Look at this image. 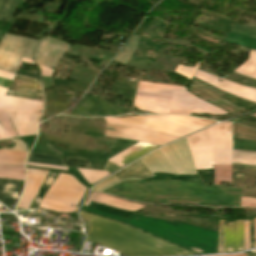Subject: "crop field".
I'll return each instance as SVG.
<instances>
[{
	"label": "crop field",
	"mask_w": 256,
	"mask_h": 256,
	"mask_svg": "<svg viewBox=\"0 0 256 256\" xmlns=\"http://www.w3.org/2000/svg\"><path fill=\"white\" fill-rule=\"evenodd\" d=\"M139 201L154 203H181L195 205H229L239 206L240 189L209 186L173 180L138 181L121 183L104 192Z\"/></svg>",
	"instance_id": "1"
},
{
	"label": "crop field",
	"mask_w": 256,
	"mask_h": 256,
	"mask_svg": "<svg viewBox=\"0 0 256 256\" xmlns=\"http://www.w3.org/2000/svg\"><path fill=\"white\" fill-rule=\"evenodd\" d=\"M80 216L90 223L88 241L128 256L192 255L179 247L121 223L96 217L82 211Z\"/></svg>",
	"instance_id": "2"
},
{
	"label": "crop field",
	"mask_w": 256,
	"mask_h": 256,
	"mask_svg": "<svg viewBox=\"0 0 256 256\" xmlns=\"http://www.w3.org/2000/svg\"><path fill=\"white\" fill-rule=\"evenodd\" d=\"M168 148L170 149L172 154L175 156L179 165L183 168L185 172L175 173L159 150H156L146 155L141 160L152 172H170L175 174H197L186 138L178 140L168 145Z\"/></svg>",
	"instance_id": "3"
},
{
	"label": "crop field",
	"mask_w": 256,
	"mask_h": 256,
	"mask_svg": "<svg viewBox=\"0 0 256 256\" xmlns=\"http://www.w3.org/2000/svg\"><path fill=\"white\" fill-rule=\"evenodd\" d=\"M173 86L139 81L134 105L144 111L167 114Z\"/></svg>",
	"instance_id": "4"
},
{
	"label": "crop field",
	"mask_w": 256,
	"mask_h": 256,
	"mask_svg": "<svg viewBox=\"0 0 256 256\" xmlns=\"http://www.w3.org/2000/svg\"><path fill=\"white\" fill-rule=\"evenodd\" d=\"M36 43L5 34L0 42V70L15 74L22 56L33 57Z\"/></svg>",
	"instance_id": "5"
},
{
	"label": "crop field",
	"mask_w": 256,
	"mask_h": 256,
	"mask_svg": "<svg viewBox=\"0 0 256 256\" xmlns=\"http://www.w3.org/2000/svg\"><path fill=\"white\" fill-rule=\"evenodd\" d=\"M190 113L225 114L227 112L186 92V88L174 86L169 114L190 115Z\"/></svg>",
	"instance_id": "6"
},
{
	"label": "crop field",
	"mask_w": 256,
	"mask_h": 256,
	"mask_svg": "<svg viewBox=\"0 0 256 256\" xmlns=\"http://www.w3.org/2000/svg\"><path fill=\"white\" fill-rule=\"evenodd\" d=\"M106 126L115 128L117 131V132H112V131L106 130V136H110V137L126 138V139H132V140L159 144V145H163L177 138V137L168 136V135H164L156 132L132 129V128H127L122 126H116V125H110V124H107Z\"/></svg>",
	"instance_id": "7"
},
{
	"label": "crop field",
	"mask_w": 256,
	"mask_h": 256,
	"mask_svg": "<svg viewBox=\"0 0 256 256\" xmlns=\"http://www.w3.org/2000/svg\"><path fill=\"white\" fill-rule=\"evenodd\" d=\"M67 46L68 43L47 36L39 44L35 54V62L54 69Z\"/></svg>",
	"instance_id": "8"
},
{
	"label": "crop field",
	"mask_w": 256,
	"mask_h": 256,
	"mask_svg": "<svg viewBox=\"0 0 256 256\" xmlns=\"http://www.w3.org/2000/svg\"><path fill=\"white\" fill-rule=\"evenodd\" d=\"M194 77L202 80L203 82H205L211 86L221 89L229 94L237 96L241 99L256 102V89H252V88L244 87V86H241L238 84H234V83L228 82L226 80L220 79L218 77L208 75L199 70H197ZM219 80H221V82H218Z\"/></svg>",
	"instance_id": "9"
},
{
	"label": "crop field",
	"mask_w": 256,
	"mask_h": 256,
	"mask_svg": "<svg viewBox=\"0 0 256 256\" xmlns=\"http://www.w3.org/2000/svg\"><path fill=\"white\" fill-rule=\"evenodd\" d=\"M189 91H191L193 94L200 97L201 99H203L211 104H214L232 114H234L240 110H243V109L221 99L225 94H223L211 87H208L194 79L192 81Z\"/></svg>",
	"instance_id": "10"
},
{
	"label": "crop field",
	"mask_w": 256,
	"mask_h": 256,
	"mask_svg": "<svg viewBox=\"0 0 256 256\" xmlns=\"http://www.w3.org/2000/svg\"><path fill=\"white\" fill-rule=\"evenodd\" d=\"M11 87H14V91L8 90L6 94L8 96L43 101L40 85L35 80L22 76H15V80Z\"/></svg>",
	"instance_id": "11"
},
{
	"label": "crop field",
	"mask_w": 256,
	"mask_h": 256,
	"mask_svg": "<svg viewBox=\"0 0 256 256\" xmlns=\"http://www.w3.org/2000/svg\"><path fill=\"white\" fill-rule=\"evenodd\" d=\"M244 250L243 220L225 226V253Z\"/></svg>",
	"instance_id": "12"
},
{
	"label": "crop field",
	"mask_w": 256,
	"mask_h": 256,
	"mask_svg": "<svg viewBox=\"0 0 256 256\" xmlns=\"http://www.w3.org/2000/svg\"><path fill=\"white\" fill-rule=\"evenodd\" d=\"M62 159L64 163L69 167L91 168L87 160L68 159V158H62ZM27 162L43 164V165L66 167L65 165H63V162L61 161L60 157L43 155V154L30 153L27 159Z\"/></svg>",
	"instance_id": "13"
},
{
	"label": "crop field",
	"mask_w": 256,
	"mask_h": 256,
	"mask_svg": "<svg viewBox=\"0 0 256 256\" xmlns=\"http://www.w3.org/2000/svg\"><path fill=\"white\" fill-rule=\"evenodd\" d=\"M115 174L121 182L141 180L154 176L140 160H137L135 163L123 168Z\"/></svg>",
	"instance_id": "14"
},
{
	"label": "crop field",
	"mask_w": 256,
	"mask_h": 256,
	"mask_svg": "<svg viewBox=\"0 0 256 256\" xmlns=\"http://www.w3.org/2000/svg\"><path fill=\"white\" fill-rule=\"evenodd\" d=\"M23 182L0 179V202L16 205Z\"/></svg>",
	"instance_id": "15"
},
{
	"label": "crop field",
	"mask_w": 256,
	"mask_h": 256,
	"mask_svg": "<svg viewBox=\"0 0 256 256\" xmlns=\"http://www.w3.org/2000/svg\"><path fill=\"white\" fill-rule=\"evenodd\" d=\"M0 109L41 111L42 102L0 96Z\"/></svg>",
	"instance_id": "16"
},
{
	"label": "crop field",
	"mask_w": 256,
	"mask_h": 256,
	"mask_svg": "<svg viewBox=\"0 0 256 256\" xmlns=\"http://www.w3.org/2000/svg\"><path fill=\"white\" fill-rule=\"evenodd\" d=\"M27 173L30 174H38V175H47L48 171H41V170H35V169H29L27 168ZM59 175L58 172H52L49 171L48 175L46 176L43 184L41 185V187L39 188L30 209H37L41 198L43 197L44 193L47 191V189L52 185V183L54 182V180L57 178V176Z\"/></svg>",
	"instance_id": "17"
},
{
	"label": "crop field",
	"mask_w": 256,
	"mask_h": 256,
	"mask_svg": "<svg viewBox=\"0 0 256 256\" xmlns=\"http://www.w3.org/2000/svg\"><path fill=\"white\" fill-rule=\"evenodd\" d=\"M28 153L1 151L0 164L2 165H24Z\"/></svg>",
	"instance_id": "18"
},
{
	"label": "crop field",
	"mask_w": 256,
	"mask_h": 256,
	"mask_svg": "<svg viewBox=\"0 0 256 256\" xmlns=\"http://www.w3.org/2000/svg\"><path fill=\"white\" fill-rule=\"evenodd\" d=\"M158 146H155V145H150V144H147L141 148H139L138 150L130 153L129 155L121 158L123 159L124 161L120 162L123 166L128 164L129 162L133 161L134 159L144 155L145 153L151 151L152 149L156 148ZM122 166V167H123ZM121 168V167H120ZM103 170H107V171H111V172H114L116 170H118V168L112 166L111 164L109 163H106V166L104 167Z\"/></svg>",
	"instance_id": "19"
},
{
	"label": "crop field",
	"mask_w": 256,
	"mask_h": 256,
	"mask_svg": "<svg viewBox=\"0 0 256 256\" xmlns=\"http://www.w3.org/2000/svg\"><path fill=\"white\" fill-rule=\"evenodd\" d=\"M234 72L256 79V51H251L249 60L238 67Z\"/></svg>",
	"instance_id": "20"
},
{
	"label": "crop field",
	"mask_w": 256,
	"mask_h": 256,
	"mask_svg": "<svg viewBox=\"0 0 256 256\" xmlns=\"http://www.w3.org/2000/svg\"><path fill=\"white\" fill-rule=\"evenodd\" d=\"M22 171H24V167L0 166V178L24 181V174H22Z\"/></svg>",
	"instance_id": "21"
},
{
	"label": "crop field",
	"mask_w": 256,
	"mask_h": 256,
	"mask_svg": "<svg viewBox=\"0 0 256 256\" xmlns=\"http://www.w3.org/2000/svg\"><path fill=\"white\" fill-rule=\"evenodd\" d=\"M232 163L256 165V152L233 150Z\"/></svg>",
	"instance_id": "22"
},
{
	"label": "crop field",
	"mask_w": 256,
	"mask_h": 256,
	"mask_svg": "<svg viewBox=\"0 0 256 256\" xmlns=\"http://www.w3.org/2000/svg\"><path fill=\"white\" fill-rule=\"evenodd\" d=\"M156 177L144 179V180H164V179H173V180H181V181H189V182H199L202 183L201 179L198 175H170V174H159L154 173Z\"/></svg>",
	"instance_id": "23"
},
{
	"label": "crop field",
	"mask_w": 256,
	"mask_h": 256,
	"mask_svg": "<svg viewBox=\"0 0 256 256\" xmlns=\"http://www.w3.org/2000/svg\"><path fill=\"white\" fill-rule=\"evenodd\" d=\"M78 173L84 178V180L92 184L102 177L109 174V172L106 171H98V170H85V169H77Z\"/></svg>",
	"instance_id": "24"
},
{
	"label": "crop field",
	"mask_w": 256,
	"mask_h": 256,
	"mask_svg": "<svg viewBox=\"0 0 256 256\" xmlns=\"http://www.w3.org/2000/svg\"><path fill=\"white\" fill-rule=\"evenodd\" d=\"M39 208L50 209V210L59 211L63 213H70L76 210V207L63 205V204H59V203H55V202H51L43 199L39 205Z\"/></svg>",
	"instance_id": "25"
},
{
	"label": "crop field",
	"mask_w": 256,
	"mask_h": 256,
	"mask_svg": "<svg viewBox=\"0 0 256 256\" xmlns=\"http://www.w3.org/2000/svg\"><path fill=\"white\" fill-rule=\"evenodd\" d=\"M138 38L139 36H133L126 48L115 58V60L126 64L136 48Z\"/></svg>",
	"instance_id": "26"
},
{
	"label": "crop field",
	"mask_w": 256,
	"mask_h": 256,
	"mask_svg": "<svg viewBox=\"0 0 256 256\" xmlns=\"http://www.w3.org/2000/svg\"><path fill=\"white\" fill-rule=\"evenodd\" d=\"M215 167V184H219L220 181L229 182L232 166L214 165Z\"/></svg>",
	"instance_id": "27"
},
{
	"label": "crop field",
	"mask_w": 256,
	"mask_h": 256,
	"mask_svg": "<svg viewBox=\"0 0 256 256\" xmlns=\"http://www.w3.org/2000/svg\"><path fill=\"white\" fill-rule=\"evenodd\" d=\"M18 0H3L0 6V17L12 19Z\"/></svg>",
	"instance_id": "28"
},
{
	"label": "crop field",
	"mask_w": 256,
	"mask_h": 256,
	"mask_svg": "<svg viewBox=\"0 0 256 256\" xmlns=\"http://www.w3.org/2000/svg\"><path fill=\"white\" fill-rule=\"evenodd\" d=\"M234 138L256 141V131L235 124Z\"/></svg>",
	"instance_id": "29"
},
{
	"label": "crop field",
	"mask_w": 256,
	"mask_h": 256,
	"mask_svg": "<svg viewBox=\"0 0 256 256\" xmlns=\"http://www.w3.org/2000/svg\"><path fill=\"white\" fill-rule=\"evenodd\" d=\"M0 124L10 137L18 136L6 110H0Z\"/></svg>",
	"instance_id": "30"
},
{
	"label": "crop field",
	"mask_w": 256,
	"mask_h": 256,
	"mask_svg": "<svg viewBox=\"0 0 256 256\" xmlns=\"http://www.w3.org/2000/svg\"><path fill=\"white\" fill-rule=\"evenodd\" d=\"M160 151L164 155V157L167 159V161L170 163L172 168L175 170V172L183 171L181 167L178 165L176 159L173 157L167 146L160 148Z\"/></svg>",
	"instance_id": "31"
},
{
	"label": "crop field",
	"mask_w": 256,
	"mask_h": 256,
	"mask_svg": "<svg viewBox=\"0 0 256 256\" xmlns=\"http://www.w3.org/2000/svg\"><path fill=\"white\" fill-rule=\"evenodd\" d=\"M233 148L256 151V142L233 139Z\"/></svg>",
	"instance_id": "32"
},
{
	"label": "crop field",
	"mask_w": 256,
	"mask_h": 256,
	"mask_svg": "<svg viewBox=\"0 0 256 256\" xmlns=\"http://www.w3.org/2000/svg\"><path fill=\"white\" fill-rule=\"evenodd\" d=\"M120 183L119 180L116 178V176H112L100 183H98L95 187L92 188V190H99V191H103L107 188H109L110 186L114 185V184H118Z\"/></svg>",
	"instance_id": "33"
},
{
	"label": "crop field",
	"mask_w": 256,
	"mask_h": 256,
	"mask_svg": "<svg viewBox=\"0 0 256 256\" xmlns=\"http://www.w3.org/2000/svg\"><path fill=\"white\" fill-rule=\"evenodd\" d=\"M199 64H200V63L197 62L194 68H192V67L188 68V67H184V66L179 65L178 68L176 69V72L182 74L183 76H185V77H187L188 79L191 80V78L193 77L194 73L196 72V70H197ZM176 72H175V73H176ZM178 73H177V74H178ZM180 74H179V75H180ZM182 75H181V76H182Z\"/></svg>",
	"instance_id": "34"
},
{
	"label": "crop field",
	"mask_w": 256,
	"mask_h": 256,
	"mask_svg": "<svg viewBox=\"0 0 256 256\" xmlns=\"http://www.w3.org/2000/svg\"><path fill=\"white\" fill-rule=\"evenodd\" d=\"M217 253H224V220H220Z\"/></svg>",
	"instance_id": "35"
},
{
	"label": "crop field",
	"mask_w": 256,
	"mask_h": 256,
	"mask_svg": "<svg viewBox=\"0 0 256 256\" xmlns=\"http://www.w3.org/2000/svg\"><path fill=\"white\" fill-rule=\"evenodd\" d=\"M16 145L13 149H4V150H14V151H21V152H28L27 146L19 139H11Z\"/></svg>",
	"instance_id": "36"
},
{
	"label": "crop field",
	"mask_w": 256,
	"mask_h": 256,
	"mask_svg": "<svg viewBox=\"0 0 256 256\" xmlns=\"http://www.w3.org/2000/svg\"><path fill=\"white\" fill-rule=\"evenodd\" d=\"M241 206L256 207V199L242 197Z\"/></svg>",
	"instance_id": "37"
},
{
	"label": "crop field",
	"mask_w": 256,
	"mask_h": 256,
	"mask_svg": "<svg viewBox=\"0 0 256 256\" xmlns=\"http://www.w3.org/2000/svg\"><path fill=\"white\" fill-rule=\"evenodd\" d=\"M249 226H250V240H251V248H253V247H255L253 221H249Z\"/></svg>",
	"instance_id": "38"
},
{
	"label": "crop field",
	"mask_w": 256,
	"mask_h": 256,
	"mask_svg": "<svg viewBox=\"0 0 256 256\" xmlns=\"http://www.w3.org/2000/svg\"><path fill=\"white\" fill-rule=\"evenodd\" d=\"M39 68L42 73V76H51L54 71L53 69L42 67V66H39Z\"/></svg>",
	"instance_id": "39"
},
{
	"label": "crop field",
	"mask_w": 256,
	"mask_h": 256,
	"mask_svg": "<svg viewBox=\"0 0 256 256\" xmlns=\"http://www.w3.org/2000/svg\"><path fill=\"white\" fill-rule=\"evenodd\" d=\"M11 84H12V81H8L0 78V87L9 89Z\"/></svg>",
	"instance_id": "40"
},
{
	"label": "crop field",
	"mask_w": 256,
	"mask_h": 256,
	"mask_svg": "<svg viewBox=\"0 0 256 256\" xmlns=\"http://www.w3.org/2000/svg\"><path fill=\"white\" fill-rule=\"evenodd\" d=\"M14 76L15 75H13V74L0 71V77L7 78V79H10V80L13 81L14 80Z\"/></svg>",
	"instance_id": "41"
},
{
	"label": "crop field",
	"mask_w": 256,
	"mask_h": 256,
	"mask_svg": "<svg viewBox=\"0 0 256 256\" xmlns=\"http://www.w3.org/2000/svg\"><path fill=\"white\" fill-rule=\"evenodd\" d=\"M27 165L39 166V167H47V168H55V169H63V170L67 169V168H62V167L43 166V165H36V164H30V163H27Z\"/></svg>",
	"instance_id": "42"
},
{
	"label": "crop field",
	"mask_w": 256,
	"mask_h": 256,
	"mask_svg": "<svg viewBox=\"0 0 256 256\" xmlns=\"http://www.w3.org/2000/svg\"><path fill=\"white\" fill-rule=\"evenodd\" d=\"M23 62L33 64L32 60L26 59V58H22V61H21V64H20V66H19L18 71L20 70V68H21V66H22V64H23Z\"/></svg>",
	"instance_id": "43"
},
{
	"label": "crop field",
	"mask_w": 256,
	"mask_h": 256,
	"mask_svg": "<svg viewBox=\"0 0 256 256\" xmlns=\"http://www.w3.org/2000/svg\"><path fill=\"white\" fill-rule=\"evenodd\" d=\"M226 256H246V254L226 255Z\"/></svg>",
	"instance_id": "44"
},
{
	"label": "crop field",
	"mask_w": 256,
	"mask_h": 256,
	"mask_svg": "<svg viewBox=\"0 0 256 256\" xmlns=\"http://www.w3.org/2000/svg\"><path fill=\"white\" fill-rule=\"evenodd\" d=\"M0 91H5V92H7V89L0 88Z\"/></svg>",
	"instance_id": "45"
},
{
	"label": "crop field",
	"mask_w": 256,
	"mask_h": 256,
	"mask_svg": "<svg viewBox=\"0 0 256 256\" xmlns=\"http://www.w3.org/2000/svg\"><path fill=\"white\" fill-rule=\"evenodd\" d=\"M251 254H256L255 250L251 251Z\"/></svg>",
	"instance_id": "46"
},
{
	"label": "crop field",
	"mask_w": 256,
	"mask_h": 256,
	"mask_svg": "<svg viewBox=\"0 0 256 256\" xmlns=\"http://www.w3.org/2000/svg\"><path fill=\"white\" fill-rule=\"evenodd\" d=\"M247 256H254V255H249V254H247Z\"/></svg>",
	"instance_id": "47"
},
{
	"label": "crop field",
	"mask_w": 256,
	"mask_h": 256,
	"mask_svg": "<svg viewBox=\"0 0 256 256\" xmlns=\"http://www.w3.org/2000/svg\"><path fill=\"white\" fill-rule=\"evenodd\" d=\"M252 116H256V114L252 115Z\"/></svg>",
	"instance_id": "48"
},
{
	"label": "crop field",
	"mask_w": 256,
	"mask_h": 256,
	"mask_svg": "<svg viewBox=\"0 0 256 256\" xmlns=\"http://www.w3.org/2000/svg\"><path fill=\"white\" fill-rule=\"evenodd\" d=\"M2 0H0V3H1Z\"/></svg>",
	"instance_id": "49"
},
{
	"label": "crop field",
	"mask_w": 256,
	"mask_h": 256,
	"mask_svg": "<svg viewBox=\"0 0 256 256\" xmlns=\"http://www.w3.org/2000/svg\"><path fill=\"white\" fill-rule=\"evenodd\" d=\"M2 37H0V40H1Z\"/></svg>",
	"instance_id": "50"
}]
</instances>
